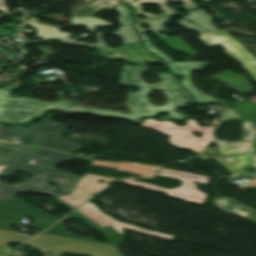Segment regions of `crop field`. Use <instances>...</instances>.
<instances>
[{
    "instance_id": "obj_1",
    "label": "crop field",
    "mask_w": 256,
    "mask_h": 256,
    "mask_svg": "<svg viewBox=\"0 0 256 256\" xmlns=\"http://www.w3.org/2000/svg\"><path fill=\"white\" fill-rule=\"evenodd\" d=\"M147 66H128L124 65L120 78V85L133 84L139 85L138 92L127 93L128 97L125 101L131 111V115L121 114L120 112L99 109L82 108L78 103L70 100H58L54 103L38 102L26 98H10L9 91L0 89V121L12 123H25L29 119L43 114L46 109H56L64 111H83L92 114L121 116L137 120L139 116H152L158 114L162 110L169 112V116L163 118H183V115L176 112L174 107L182 104L192 103L188 94L179 88L174 78L169 74H155L162 78V83L147 84L140 77L139 73L146 70ZM149 90H162L165 92L168 102L164 106H152L145 95ZM163 92V93H164ZM20 104L31 105V109H19ZM2 116V117H1Z\"/></svg>"
},
{
    "instance_id": "obj_2",
    "label": "crop field",
    "mask_w": 256,
    "mask_h": 256,
    "mask_svg": "<svg viewBox=\"0 0 256 256\" xmlns=\"http://www.w3.org/2000/svg\"><path fill=\"white\" fill-rule=\"evenodd\" d=\"M9 148L11 154L0 153V175L19 169L35 175L34 178L23 181L20 185L11 186L0 181V200L12 199L18 191H30L45 195H65L71 192L79 176L60 171L52 166L62 160L81 159L92 161L93 158L74 154H61L54 151L36 148L30 158L33 147L23 145H0V148ZM57 181V188H51L45 183Z\"/></svg>"
},
{
    "instance_id": "obj_3",
    "label": "crop field",
    "mask_w": 256,
    "mask_h": 256,
    "mask_svg": "<svg viewBox=\"0 0 256 256\" xmlns=\"http://www.w3.org/2000/svg\"><path fill=\"white\" fill-rule=\"evenodd\" d=\"M214 144L219 147L205 149L200 156L202 159L214 157L229 171L232 172L230 177L255 175L243 171L244 167L252 166L250 162L254 163L256 168V151L251 141H242L235 143H224L222 141H214Z\"/></svg>"
},
{
    "instance_id": "obj_4",
    "label": "crop field",
    "mask_w": 256,
    "mask_h": 256,
    "mask_svg": "<svg viewBox=\"0 0 256 256\" xmlns=\"http://www.w3.org/2000/svg\"><path fill=\"white\" fill-rule=\"evenodd\" d=\"M186 122V126H177L171 121L158 122L154 119L146 118L141 125L154 128L156 131L169 136V142L176 146L199 153L201 149L211 140L210 129L213 126L199 127L192 119H189ZM191 130L201 132L202 137H195L191 134ZM183 134H186V136ZM190 135L193 137H190Z\"/></svg>"
},
{
    "instance_id": "obj_5",
    "label": "crop field",
    "mask_w": 256,
    "mask_h": 256,
    "mask_svg": "<svg viewBox=\"0 0 256 256\" xmlns=\"http://www.w3.org/2000/svg\"><path fill=\"white\" fill-rule=\"evenodd\" d=\"M53 116L51 114L44 121L32 127H15V130L41 135L37 143V146L40 147H45L61 152H68L81 146L79 144L57 139L58 135L60 134V130H65L67 126L49 121Z\"/></svg>"
},
{
    "instance_id": "obj_6",
    "label": "crop field",
    "mask_w": 256,
    "mask_h": 256,
    "mask_svg": "<svg viewBox=\"0 0 256 256\" xmlns=\"http://www.w3.org/2000/svg\"><path fill=\"white\" fill-rule=\"evenodd\" d=\"M199 37L205 44L211 46L220 44L227 45L229 48L223 52L240 61L244 69L256 79V60L252 58L239 42L229 37L226 32L222 30L208 31L200 33Z\"/></svg>"
},
{
    "instance_id": "obj_7",
    "label": "crop field",
    "mask_w": 256,
    "mask_h": 256,
    "mask_svg": "<svg viewBox=\"0 0 256 256\" xmlns=\"http://www.w3.org/2000/svg\"><path fill=\"white\" fill-rule=\"evenodd\" d=\"M98 179L103 180L104 183L96 182ZM108 180H116V178L102 177L87 173L80 178L70 195L56 197L75 208L89 197H91L94 193H98L104 187L109 185L106 182ZM69 198H73V200Z\"/></svg>"
},
{
    "instance_id": "obj_8",
    "label": "crop field",
    "mask_w": 256,
    "mask_h": 256,
    "mask_svg": "<svg viewBox=\"0 0 256 256\" xmlns=\"http://www.w3.org/2000/svg\"><path fill=\"white\" fill-rule=\"evenodd\" d=\"M76 211H78V212L82 213L83 215L89 217L90 219H92L93 221H95L97 224H99L102 227L110 225L111 227H113L120 234L123 233V230H121L120 228H127V229H131V230H135V231H139V232H143V233H147V234H151V235H155V236H159V237H163V238H167V239H170V238L173 237L171 235H166V234H162V233L143 230V229H139V228L134 227V226H130V225H127V224H124V223H120V222L114 220L113 218H111V217H109L105 214H102L98 210V208L89 201L87 203H85L83 206H81L80 208H78Z\"/></svg>"
},
{
    "instance_id": "obj_9",
    "label": "crop field",
    "mask_w": 256,
    "mask_h": 256,
    "mask_svg": "<svg viewBox=\"0 0 256 256\" xmlns=\"http://www.w3.org/2000/svg\"><path fill=\"white\" fill-rule=\"evenodd\" d=\"M188 16L183 17L179 14H175L176 16H179L181 18L190 20L208 30H214V29H220L217 26L213 25L210 23L211 20V16L204 13L201 9L199 10H195L192 12H188ZM172 16V15H170ZM169 16L166 17H162V18H157V19H153V20H149V21H144L145 23H147L149 25V28L147 30L153 31L155 32L160 38H164L166 37L165 35L161 34L159 31L164 30L166 32H168L167 30L163 29L162 26L164 24V22H166L165 20L168 19ZM139 23H135V29L137 30V32L139 33V35L141 36L142 40L148 39L143 33L142 31H144V29H141L138 27Z\"/></svg>"
},
{
    "instance_id": "obj_10",
    "label": "crop field",
    "mask_w": 256,
    "mask_h": 256,
    "mask_svg": "<svg viewBox=\"0 0 256 256\" xmlns=\"http://www.w3.org/2000/svg\"><path fill=\"white\" fill-rule=\"evenodd\" d=\"M100 54L109 60L123 57L132 63H141L147 61L159 60L158 58L148 54L139 42L123 44L122 47L111 49L109 47L97 48Z\"/></svg>"
},
{
    "instance_id": "obj_11",
    "label": "crop field",
    "mask_w": 256,
    "mask_h": 256,
    "mask_svg": "<svg viewBox=\"0 0 256 256\" xmlns=\"http://www.w3.org/2000/svg\"><path fill=\"white\" fill-rule=\"evenodd\" d=\"M181 180V179H180ZM131 185L142 186L145 188L164 191L167 193V196L182 199L185 201L202 204L207 195L198 191L195 184L190 181L181 180L183 185L180 187L172 188V189H164L155 185L139 183L131 180H122Z\"/></svg>"
},
{
    "instance_id": "obj_12",
    "label": "crop field",
    "mask_w": 256,
    "mask_h": 256,
    "mask_svg": "<svg viewBox=\"0 0 256 256\" xmlns=\"http://www.w3.org/2000/svg\"><path fill=\"white\" fill-rule=\"evenodd\" d=\"M172 73L183 75L184 79L180 80V83L184 88L194 97L196 102H209L214 103L215 98L207 96L196 88H194L189 82L190 73L189 70H200L201 66L208 65L206 62H183V63H166ZM191 71V70H190Z\"/></svg>"
},
{
    "instance_id": "obj_13",
    "label": "crop field",
    "mask_w": 256,
    "mask_h": 256,
    "mask_svg": "<svg viewBox=\"0 0 256 256\" xmlns=\"http://www.w3.org/2000/svg\"><path fill=\"white\" fill-rule=\"evenodd\" d=\"M174 1H184V6L172 9L165 5V3H167V2H174ZM127 4H131L132 8L135 9L136 13L134 16H135L137 22L144 21V20L138 19V17H137L138 14H142L143 16H145L147 18L146 20H148V19H153V18L177 13L176 10H179V9L190 10V9L198 7V5L194 2H191V0H132V1L128 2ZM146 4H157L158 6L161 7V11L164 13L161 15L155 16L153 14L143 12L142 6H144Z\"/></svg>"
},
{
    "instance_id": "obj_14",
    "label": "crop field",
    "mask_w": 256,
    "mask_h": 256,
    "mask_svg": "<svg viewBox=\"0 0 256 256\" xmlns=\"http://www.w3.org/2000/svg\"><path fill=\"white\" fill-rule=\"evenodd\" d=\"M214 207L226 212L237 214L245 219L256 223V210L245 207L229 198L215 196L213 200Z\"/></svg>"
},
{
    "instance_id": "obj_15",
    "label": "crop field",
    "mask_w": 256,
    "mask_h": 256,
    "mask_svg": "<svg viewBox=\"0 0 256 256\" xmlns=\"http://www.w3.org/2000/svg\"><path fill=\"white\" fill-rule=\"evenodd\" d=\"M120 2V0H90L82 6L74 9L71 12L72 15H85L91 13L96 10L110 8L116 3Z\"/></svg>"
},
{
    "instance_id": "obj_16",
    "label": "crop field",
    "mask_w": 256,
    "mask_h": 256,
    "mask_svg": "<svg viewBox=\"0 0 256 256\" xmlns=\"http://www.w3.org/2000/svg\"><path fill=\"white\" fill-rule=\"evenodd\" d=\"M27 25L33 28L38 29L36 36L40 37L45 41L54 40L55 38H63L66 36H70L67 32L58 31L59 28L49 26V25H41L38 23L27 21Z\"/></svg>"
},
{
    "instance_id": "obj_17",
    "label": "crop field",
    "mask_w": 256,
    "mask_h": 256,
    "mask_svg": "<svg viewBox=\"0 0 256 256\" xmlns=\"http://www.w3.org/2000/svg\"><path fill=\"white\" fill-rule=\"evenodd\" d=\"M214 78L228 84L229 86L241 92H246L251 90L250 86L244 81V79H242L241 77H239L238 75L234 74L231 71L222 72L214 76ZM243 85H246L248 88L243 87Z\"/></svg>"
},
{
    "instance_id": "obj_18",
    "label": "crop field",
    "mask_w": 256,
    "mask_h": 256,
    "mask_svg": "<svg viewBox=\"0 0 256 256\" xmlns=\"http://www.w3.org/2000/svg\"><path fill=\"white\" fill-rule=\"evenodd\" d=\"M104 33H112L120 36L122 38L123 43L138 41L136 35L131 29V24L120 26L119 29L116 31L104 32ZM104 33H96V36H97L96 38L98 42L94 44L95 47L106 46V44L103 42V40L100 37Z\"/></svg>"
},
{
    "instance_id": "obj_19",
    "label": "crop field",
    "mask_w": 256,
    "mask_h": 256,
    "mask_svg": "<svg viewBox=\"0 0 256 256\" xmlns=\"http://www.w3.org/2000/svg\"><path fill=\"white\" fill-rule=\"evenodd\" d=\"M156 175L172 177V178H181V179H186V180H190V181H195L198 183L208 184V177L185 173V172L174 171V170H169V169H164V168L159 169V171Z\"/></svg>"
},
{
    "instance_id": "obj_20",
    "label": "crop field",
    "mask_w": 256,
    "mask_h": 256,
    "mask_svg": "<svg viewBox=\"0 0 256 256\" xmlns=\"http://www.w3.org/2000/svg\"><path fill=\"white\" fill-rule=\"evenodd\" d=\"M8 138H17L20 140L19 143L34 145L38 137L16 133L8 128L3 127L2 124H0V139Z\"/></svg>"
},
{
    "instance_id": "obj_21",
    "label": "crop field",
    "mask_w": 256,
    "mask_h": 256,
    "mask_svg": "<svg viewBox=\"0 0 256 256\" xmlns=\"http://www.w3.org/2000/svg\"><path fill=\"white\" fill-rule=\"evenodd\" d=\"M72 22L74 25L76 24H86L87 31H94V26H108L112 27V25L102 19L94 18L92 16L86 17H73Z\"/></svg>"
},
{
    "instance_id": "obj_22",
    "label": "crop field",
    "mask_w": 256,
    "mask_h": 256,
    "mask_svg": "<svg viewBox=\"0 0 256 256\" xmlns=\"http://www.w3.org/2000/svg\"><path fill=\"white\" fill-rule=\"evenodd\" d=\"M161 40H163L165 43H167L170 48H173L177 51L186 53L190 56H193V55L197 54L192 49H190L187 45H185L183 43L182 39L177 37V36L164 38V39H161Z\"/></svg>"
},
{
    "instance_id": "obj_23",
    "label": "crop field",
    "mask_w": 256,
    "mask_h": 256,
    "mask_svg": "<svg viewBox=\"0 0 256 256\" xmlns=\"http://www.w3.org/2000/svg\"><path fill=\"white\" fill-rule=\"evenodd\" d=\"M254 139L256 140V124L247 119H243V129L241 140Z\"/></svg>"
},
{
    "instance_id": "obj_24",
    "label": "crop field",
    "mask_w": 256,
    "mask_h": 256,
    "mask_svg": "<svg viewBox=\"0 0 256 256\" xmlns=\"http://www.w3.org/2000/svg\"><path fill=\"white\" fill-rule=\"evenodd\" d=\"M115 9L120 13V16L118 17L120 25L132 23V20L129 17L131 10L126 9L124 4L115 7Z\"/></svg>"
},
{
    "instance_id": "obj_25",
    "label": "crop field",
    "mask_w": 256,
    "mask_h": 256,
    "mask_svg": "<svg viewBox=\"0 0 256 256\" xmlns=\"http://www.w3.org/2000/svg\"><path fill=\"white\" fill-rule=\"evenodd\" d=\"M145 47L151 51L152 53H154L155 55L161 57L163 60L165 61H172L169 57H167L164 53L160 52L159 50H157L150 42L149 40H145L143 41Z\"/></svg>"
},
{
    "instance_id": "obj_26",
    "label": "crop field",
    "mask_w": 256,
    "mask_h": 256,
    "mask_svg": "<svg viewBox=\"0 0 256 256\" xmlns=\"http://www.w3.org/2000/svg\"><path fill=\"white\" fill-rule=\"evenodd\" d=\"M178 24L185 27V28H188V29H191V30H195V31H198V32H203L205 30H203L202 28L196 26L195 24L193 23H186L185 20L181 19L178 21Z\"/></svg>"
},
{
    "instance_id": "obj_27",
    "label": "crop field",
    "mask_w": 256,
    "mask_h": 256,
    "mask_svg": "<svg viewBox=\"0 0 256 256\" xmlns=\"http://www.w3.org/2000/svg\"><path fill=\"white\" fill-rule=\"evenodd\" d=\"M239 117L231 108L226 110L223 115V119Z\"/></svg>"
},
{
    "instance_id": "obj_28",
    "label": "crop field",
    "mask_w": 256,
    "mask_h": 256,
    "mask_svg": "<svg viewBox=\"0 0 256 256\" xmlns=\"http://www.w3.org/2000/svg\"><path fill=\"white\" fill-rule=\"evenodd\" d=\"M0 54L6 56L7 60H15L17 55L11 54L9 52H7L6 50H4L3 48L0 47Z\"/></svg>"
},
{
    "instance_id": "obj_29",
    "label": "crop field",
    "mask_w": 256,
    "mask_h": 256,
    "mask_svg": "<svg viewBox=\"0 0 256 256\" xmlns=\"http://www.w3.org/2000/svg\"><path fill=\"white\" fill-rule=\"evenodd\" d=\"M0 11L3 12V13H8L4 0H0Z\"/></svg>"
},
{
    "instance_id": "obj_30",
    "label": "crop field",
    "mask_w": 256,
    "mask_h": 256,
    "mask_svg": "<svg viewBox=\"0 0 256 256\" xmlns=\"http://www.w3.org/2000/svg\"><path fill=\"white\" fill-rule=\"evenodd\" d=\"M74 45L93 46V44H89V43H85V42H80V41L75 42Z\"/></svg>"
},
{
    "instance_id": "obj_31",
    "label": "crop field",
    "mask_w": 256,
    "mask_h": 256,
    "mask_svg": "<svg viewBox=\"0 0 256 256\" xmlns=\"http://www.w3.org/2000/svg\"><path fill=\"white\" fill-rule=\"evenodd\" d=\"M60 41L65 42V43H70V42L75 41V40H73L69 37H66V38L60 39Z\"/></svg>"
},
{
    "instance_id": "obj_32",
    "label": "crop field",
    "mask_w": 256,
    "mask_h": 256,
    "mask_svg": "<svg viewBox=\"0 0 256 256\" xmlns=\"http://www.w3.org/2000/svg\"><path fill=\"white\" fill-rule=\"evenodd\" d=\"M129 1V0H126V2Z\"/></svg>"
}]
</instances>
